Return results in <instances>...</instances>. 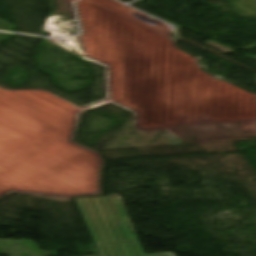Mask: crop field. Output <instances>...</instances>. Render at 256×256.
<instances>
[{
  "mask_svg": "<svg viewBox=\"0 0 256 256\" xmlns=\"http://www.w3.org/2000/svg\"><path fill=\"white\" fill-rule=\"evenodd\" d=\"M101 256H145L127 224H118L108 197L75 199Z\"/></svg>",
  "mask_w": 256,
  "mask_h": 256,
  "instance_id": "obj_1",
  "label": "crop field"
},
{
  "mask_svg": "<svg viewBox=\"0 0 256 256\" xmlns=\"http://www.w3.org/2000/svg\"><path fill=\"white\" fill-rule=\"evenodd\" d=\"M146 256H176V255L174 252H170V253L150 254Z\"/></svg>",
  "mask_w": 256,
  "mask_h": 256,
  "instance_id": "obj_2",
  "label": "crop field"
},
{
  "mask_svg": "<svg viewBox=\"0 0 256 256\" xmlns=\"http://www.w3.org/2000/svg\"><path fill=\"white\" fill-rule=\"evenodd\" d=\"M89 244H90V247H91V249H92L93 254L97 253V251H96V250H94V248H93L92 244H91V243H89ZM85 246H86V245H85ZM77 248H78V250H79L80 254L82 255V253H81V251H80V249H79V247H78V246H77ZM81 248H82V246H81ZM86 248H87V246H86ZM82 250H83V248H82ZM87 250H88V248H87ZM83 252H84V250H83ZM88 252H89V250H88ZM84 254H85V252H84ZM89 254H90V252H89ZM85 255H86V254H85Z\"/></svg>",
  "mask_w": 256,
  "mask_h": 256,
  "instance_id": "obj_3",
  "label": "crop field"
},
{
  "mask_svg": "<svg viewBox=\"0 0 256 256\" xmlns=\"http://www.w3.org/2000/svg\"><path fill=\"white\" fill-rule=\"evenodd\" d=\"M92 256H98V255H92Z\"/></svg>",
  "mask_w": 256,
  "mask_h": 256,
  "instance_id": "obj_4",
  "label": "crop field"
}]
</instances>
